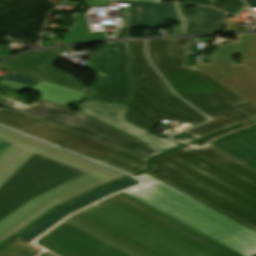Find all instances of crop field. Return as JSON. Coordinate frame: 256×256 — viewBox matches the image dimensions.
<instances>
[{"label":"crop field","instance_id":"obj_32","mask_svg":"<svg viewBox=\"0 0 256 256\" xmlns=\"http://www.w3.org/2000/svg\"><path fill=\"white\" fill-rule=\"evenodd\" d=\"M42 256H53V255H51V254H49V253H45V254H43Z\"/></svg>","mask_w":256,"mask_h":256},{"label":"crop field","instance_id":"obj_8","mask_svg":"<svg viewBox=\"0 0 256 256\" xmlns=\"http://www.w3.org/2000/svg\"><path fill=\"white\" fill-rule=\"evenodd\" d=\"M20 103L7 99L3 96L0 97L1 108L39 118L65 129L132 152L147 159L164 153L81 111L73 112L68 110L65 106L41 100H38L30 107H28L29 105L26 106Z\"/></svg>","mask_w":256,"mask_h":256},{"label":"crop field","instance_id":"obj_4","mask_svg":"<svg viewBox=\"0 0 256 256\" xmlns=\"http://www.w3.org/2000/svg\"><path fill=\"white\" fill-rule=\"evenodd\" d=\"M146 184L124 192L243 255L256 254V233L143 174Z\"/></svg>","mask_w":256,"mask_h":256},{"label":"crop field","instance_id":"obj_27","mask_svg":"<svg viewBox=\"0 0 256 256\" xmlns=\"http://www.w3.org/2000/svg\"><path fill=\"white\" fill-rule=\"evenodd\" d=\"M236 23L231 22V21H225V28H224V32H230V31H234L233 29H231L233 26H235Z\"/></svg>","mask_w":256,"mask_h":256},{"label":"crop field","instance_id":"obj_33","mask_svg":"<svg viewBox=\"0 0 256 256\" xmlns=\"http://www.w3.org/2000/svg\"><path fill=\"white\" fill-rule=\"evenodd\" d=\"M111 1H131V0H111Z\"/></svg>","mask_w":256,"mask_h":256},{"label":"crop field","instance_id":"obj_18","mask_svg":"<svg viewBox=\"0 0 256 256\" xmlns=\"http://www.w3.org/2000/svg\"><path fill=\"white\" fill-rule=\"evenodd\" d=\"M186 5L188 4H178L186 24L185 34H211L223 30L224 20L227 14L204 6L192 10H185L184 6Z\"/></svg>","mask_w":256,"mask_h":256},{"label":"crop field","instance_id":"obj_14","mask_svg":"<svg viewBox=\"0 0 256 256\" xmlns=\"http://www.w3.org/2000/svg\"><path fill=\"white\" fill-rule=\"evenodd\" d=\"M0 139L8 141L14 146L20 147L107 182L118 180L127 176L126 174L111 170L102 165L100 166L89 160L70 154L3 127H0Z\"/></svg>","mask_w":256,"mask_h":256},{"label":"crop field","instance_id":"obj_29","mask_svg":"<svg viewBox=\"0 0 256 256\" xmlns=\"http://www.w3.org/2000/svg\"><path fill=\"white\" fill-rule=\"evenodd\" d=\"M8 146H9V144L0 141V154H1L4 150H6Z\"/></svg>","mask_w":256,"mask_h":256},{"label":"crop field","instance_id":"obj_23","mask_svg":"<svg viewBox=\"0 0 256 256\" xmlns=\"http://www.w3.org/2000/svg\"><path fill=\"white\" fill-rule=\"evenodd\" d=\"M243 4L238 0H214L212 7L234 14Z\"/></svg>","mask_w":256,"mask_h":256},{"label":"crop field","instance_id":"obj_3","mask_svg":"<svg viewBox=\"0 0 256 256\" xmlns=\"http://www.w3.org/2000/svg\"><path fill=\"white\" fill-rule=\"evenodd\" d=\"M65 222L129 256H208L106 200Z\"/></svg>","mask_w":256,"mask_h":256},{"label":"crop field","instance_id":"obj_20","mask_svg":"<svg viewBox=\"0 0 256 256\" xmlns=\"http://www.w3.org/2000/svg\"><path fill=\"white\" fill-rule=\"evenodd\" d=\"M5 86H8V88H5ZM23 88L42 93L41 97L43 100L63 105H66L71 100H82L85 94L84 92L46 83L44 81H41L33 88L24 85H19L17 83L10 82L5 79H3L0 83V89L9 92L18 93Z\"/></svg>","mask_w":256,"mask_h":256},{"label":"crop field","instance_id":"obj_2","mask_svg":"<svg viewBox=\"0 0 256 256\" xmlns=\"http://www.w3.org/2000/svg\"><path fill=\"white\" fill-rule=\"evenodd\" d=\"M192 38L148 40V55L154 66L177 95L212 120L185 133L202 138L256 118V108L230 93L223 86L187 67L186 54Z\"/></svg>","mask_w":256,"mask_h":256},{"label":"crop field","instance_id":"obj_11","mask_svg":"<svg viewBox=\"0 0 256 256\" xmlns=\"http://www.w3.org/2000/svg\"><path fill=\"white\" fill-rule=\"evenodd\" d=\"M145 173L256 232V214L153 161Z\"/></svg>","mask_w":256,"mask_h":256},{"label":"crop field","instance_id":"obj_24","mask_svg":"<svg viewBox=\"0 0 256 256\" xmlns=\"http://www.w3.org/2000/svg\"><path fill=\"white\" fill-rule=\"evenodd\" d=\"M124 20L119 27V33L112 39H125L129 36L131 9H124Z\"/></svg>","mask_w":256,"mask_h":256},{"label":"crop field","instance_id":"obj_16","mask_svg":"<svg viewBox=\"0 0 256 256\" xmlns=\"http://www.w3.org/2000/svg\"><path fill=\"white\" fill-rule=\"evenodd\" d=\"M203 142L256 170V122Z\"/></svg>","mask_w":256,"mask_h":256},{"label":"crop field","instance_id":"obj_25","mask_svg":"<svg viewBox=\"0 0 256 256\" xmlns=\"http://www.w3.org/2000/svg\"><path fill=\"white\" fill-rule=\"evenodd\" d=\"M5 79L10 80V81H14V82H17V83H21V84H24V85H27V86H31V87H33L38 82H40V80H36V79H33V78L25 77V76L14 74V73L10 74Z\"/></svg>","mask_w":256,"mask_h":256},{"label":"crop field","instance_id":"obj_7","mask_svg":"<svg viewBox=\"0 0 256 256\" xmlns=\"http://www.w3.org/2000/svg\"><path fill=\"white\" fill-rule=\"evenodd\" d=\"M0 123L130 174L147 169V159L39 119L0 109Z\"/></svg>","mask_w":256,"mask_h":256},{"label":"crop field","instance_id":"obj_34","mask_svg":"<svg viewBox=\"0 0 256 256\" xmlns=\"http://www.w3.org/2000/svg\"><path fill=\"white\" fill-rule=\"evenodd\" d=\"M230 87H231V86H225V88H227L229 91H230Z\"/></svg>","mask_w":256,"mask_h":256},{"label":"crop field","instance_id":"obj_21","mask_svg":"<svg viewBox=\"0 0 256 256\" xmlns=\"http://www.w3.org/2000/svg\"><path fill=\"white\" fill-rule=\"evenodd\" d=\"M98 40H105V35L91 32L86 20H84V14L78 13L73 32L66 33L63 39V45Z\"/></svg>","mask_w":256,"mask_h":256},{"label":"crop field","instance_id":"obj_13","mask_svg":"<svg viewBox=\"0 0 256 256\" xmlns=\"http://www.w3.org/2000/svg\"><path fill=\"white\" fill-rule=\"evenodd\" d=\"M37 244L60 256H127L65 222Z\"/></svg>","mask_w":256,"mask_h":256},{"label":"crop field","instance_id":"obj_15","mask_svg":"<svg viewBox=\"0 0 256 256\" xmlns=\"http://www.w3.org/2000/svg\"><path fill=\"white\" fill-rule=\"evenodd\" d=\"M80 101H71L69 104L76 106ZM67 104L66 106H68ZM77 107L81 111L108 123L134 137H137L165 152L178 147L179 145L162 139L148 131L126 121L128 104L123 103H100V102H82Z\"/></svg>","mask_w":256,"mask_h":256},{"label":"crop field","instance_id":"obj_28","mask_svg":"<svg viewBox=\"0 0 256 256\" xmlns=\"http://www.w3.org/2000/svg\"><path fill=\"white\" fill-rule=\"evenodd\" d=\"M11 53L7 50H5V48L3 46L0 45V60L9 56L8 54Z\"/></svg>","mask_w":256,"mask_h":256},{"label":"crop field","instance_id":"obj_9","mask_svg":"<svg viewBox=\"0 0 256 256\" xmlns=\"http://www.w3.org/2000/svg\"><path fill=\"white\" fill-rule=\"evenodd\" d=\"M238 42L217 45L209 64L194 67L221 85H234L232 93L256 107V35H237ZM235 54L242 55L241 63L234 65Z\"/></svg>","mask_w":256,"mask_h":256},{"label":"crop field","instance_id":"obj_10","mask_svg":"<svg viewBox=\"0 0 256 256\" xmlns=\"http://www.w3.org/2000/svg\"><path fill=\"white\" fill-rule=\"evenodd\" d=\"M130 61L128 41L106 42L88 65L96 82L87 88L84 101L129 102Z\"/></svg>","mask_w":256,"mask_h":256},{"label":"crop field","instance_id":"obj_22","mask_svg":"<svg viewBox=\"0 0 256 256\" xmlns=\"http://www.w3.org/2000/svg\"><path fill=\"white\" fill-rule=\"evenodd\" d=\"M40 252L41 249L22 237L0 248V256H36Z\"/></svg>","mask_w":256,"mask_h":256},{"label":"crop field","instance_id":"obj_30","mask_svg":"<svg viewBox=\"0 0 256 256\" xmlns=\"http://www.w3.org/2000/svg\"><path fill=\"white\" fill-rule=\"evenodd\" d=\"M250 7H256V0H245Z\"/></svg>","mask_w":256,"mask_h":256},{"label":"crop field","instance_id":"obj_31","mask_svg":"<svg viewBox=\"0 0 256 256\" xmlns=\"http://www.w3.org/2000/svg\"><path fill=\"white\" fill-rule=\"evenodd\" d=\"M134 1L160 2V0H134Z\"/></svg>","mask_w":256,"mask_h":256},{"label":"crop field","instance_id":"obj_5","mask_svg":"<svg viewBox=\"0 0 256 256\" xmlns=\"http://www.w3.org/2000/svg\"><path fill=\"white\" fill-rule=\"evenodd\" d=\"M154 161L256 213V171L224 154L207 146Z\"/></svg>","mask_w":256,"mask_h":256},{"label":"crop field","instance_id":"obj_12","mask_svg":"<svg viewBox=\"0 0 256 256\" xmlns=\"http://www.w3.org/2000/svg\"><path fill=\"white\" fill-rule=\"evenodd\" d=\"M107 200L210 256H241L123 193Z\"/></svg>","mask_w":256,"mask_h":256},{"label":"crop field","instance_id":"obj_17","mask_svg":"<svg viewBox=\"0 0 256 256\" xmlns=\"http://www.w3.org/2000/svg\"><path fill=\"white\" fill-rule=\"evenodd\" d=\"M140 183L138 180L131 178L119 183H116L112 186H109L107 188H104L88 197H85L57 212H55L53 215H51L50 217H48L47 219H45L43 222H41L40 224H38L37 226H35L33 229H31L30 231H28L27 233H25L22 237L32 241L34 240L36 237H38L39 235H41L43 232H45L46 230H48L50 227H52L54 224H56L57 222H59L61 219H63L65 216H67L68 214L82 208L85 207L109 194L112 193H116L118 191H121L123 189H126L128 187H131L133 185H136Z\"/></svg>","mask_w":256,"mask_h":256},{"label":"crop field","instance_id":"obj_19","mask_svg":"<svg viewBox=\"0 0 256 256\" xmlns=\"http://www.w3.org/2000/svg\"><path fill=\"white\" fill-rule=\"evenodd\" d=\"M181 20L174 4L133 2L132 27H160Z\"/></svg>","mask_w":256,"mask_h":256},{"label":"crop field","instance_id":"obj_1","mask_svg":"<svg viewBox=\"0 0 256 256\" xmlns=\"http://www.w3.org/2000/svg\"><path fill=\"white\" fill-rule=\"evenodd\" d=\"M105 183L10 145L0 155V242Z\"/></svg>","mask_w":256,"mask_h":256},{"label":"crop field","instance_id":"obj_26","mask_svg":"<svg viewBox=\"0 0 256 256\" xmlns=\"http://www.w3.org/2000/svg\"><path fill=\"white\" fill-rule=\"evenodd\" d=\"M183 2L195 3V4H201V5H207V6H210V4L212 3L211 0H183Z\"/></svg>","mask_w":256,"mask_h":256},{"label":"crop field","instance_id":"obj_6","mask_svg":"<svg viewBox=\"0 0 256 256\" xmlns=\"http://www.w3.org/2000/svg\"><path fill=\"white\" fill-rule=\"evenodd\" d=\"M130 43L134 91L129 121L149 130L165 118L194 125L209 120L170 91L147 60L144 40Z\"/></svg>","mask_w":256,"mask_h":256}]
</instances>
